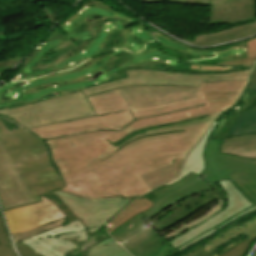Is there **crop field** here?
Returning <instances> with one entry per match:
<instances>
[{"label": "crop field", "mask_w": 256, "mask_h": 256, "mask_svg": "<svg viewBox=\"0 0 256 256\" xmlns=\"http://www.w3.org/2000/svg\"><path fill=\"white\" fill-rule=\"evenodd\" d=\"M240 93L200 92L199 100L133 113L135 122L120 132L95 131L47 140L67 185L61 189L84 197L124 198L150 191L139 175L172 164L173 158H184L211 122L186 127L185 132L140 138L120 150L112 144L136 130L221 112Z\"/></svg>", "instance_id": "1"}, {"label": "crop field", "mask_w": 256, "mask_h": 256, "mask_svg": "<svg viewBox=\"0 0 256 256\" xmlns=\"http://www.w3.org/2000/svg\"><path fill=\"white\" fill-rule=\"evenodd\" d=\"M44 142L0 117V204L3 210L40 201L65 184L50 165Z\"/></svg>", "instance_id": "2"}, {"label": "crop field", "mask_w": 256, "mask_h": 256, "mask_svg": "<svg viewBox=\"0 0 256 256\" xmlns=\"http://www.w3.org/2000/svg\"><path fill=\"white\" fill-rule=\"evenodd\" d=\"M221 142L208 140L204 154L206 168L200 176L191 173L174 185L151 191L156 196L150 199L154 206L120 226L111 236L119 243L126 240L145 229L143 226H148L146 223L156 214L190 195L211 190L208 184L221 180L229 179L255 205L256 160L219 154Z\"/></svg>", "instance_id": "3"}, {"label": "crop field", "mask_w": 256, "mask_h": 256, "mask_svg": "<svg viewBox=\"0 0 256 256\" xmlns=\"http://www.w3.org/2000/svg\"><path fill=\"white\" fill-rule=\"evenodd\" d=\"M220 184L228 196V206L222 212H217L222 208V201L218 200L216 207L206 215L164 236L168 240L182 231L189 229L188 232L172 241V246L177 248L178 251L188 248L192 244L204 239L234 219L256 210V205L252 206L229 180L221 181Z\"/></svg>", "instance_id": "4"}, {"label": "crop field", "mask_w": 256, "mask_h": 256, "mask_svg": "<svg viewBox=\"0 0 256 256\" xmlns=\"http://www.w3.org/2000/svg\"><path fill=\"white\" fill-rule=\"evenodd\" d=\"M0 113L27 129L95 114L81 91L12 109L1 108Z\"/></svg>", "instance_id": "5"}, {"label": "crop field", "mask_w": 256, "mask_h": 256, "mask_svg": "<svg viewBox=\"0 0 256 256\" xmlns=\"http://www.w3.org/2000/svg\"><path fill=\"white\" fill-rule=\"evenodd\" d=\"M245 83L246 81L206 82L200 83V88L178 86H133L88 96L86 98L88 99L119 91L129 109H136L199 97V91L242 90Z\"/></svg>", "instance_id": "6"}, {"label": "crop field", "mask_w": 256, "mask_h": 256, "mask_svg": "<svg viewBox=\"0 0 256 256\" xmlns=\"http://www.w3.org/2000/svg\"><path fill=\"white\" fill-rule=\"evenodd\" d=\"M128 78L100 84L81 90L86 96L133 85H178L199 87V82L218 80H248L250 71H241L228 74L190 75L181 73H168L157 70H129Z\"/></svg>", "instance_id": "7"}, {"label": "crop field", "mask_w": 256, "mask_h": 256, "mask_svg": "<svg viewBox=\"0 0 256 256\" xmlns=\"http://www.w3.org/2000/svg\"><path fill=\"white\" fill-rule=\"evenodd\" d=\"M89 238L86 228L77 220L20 241L15 246L21 256H64V253L72 248L77 249Z\"/></svg>", "instance_id": "8"}, {"label": "crop field", "mask_w": 256, "mask_h": 256, "mask_svg": "<svg viewBox=\"0 0 256 256\" xmlns=\"http://www.w3.org/2000/svg\"><path fill=\"white\" fill-rule=\"evenodd\" d=\"M70 210L76 219H80L90 234L97 231L134 198L119 197L83 198L68 194L62 190L50 192ZM83 215V216H82Z\"/></svg>", "instance_id": "9"}, {"label": "crop field", "mask_w": 256, "mask_h": 256, "mask_svg": "<svg viewBox=\"0 0 256 256\" xmlns=\"http://www.w3.org/2000/svg\"><path fill=\"white\" fill-rule=\"evenodd\" d=\"M200 98V97H199ZM195 98V99H199ZM191 99V100H195ZM190 101V100H186ZM182 101V102H186ZM181 103V102H177ZM173 103V104H177ZM172 105V104H168ZM161 106H153L147 108H141L136 110H128L122 112H116L111 114L99 115V116H90L78 120L66 121L57 124H52L48 126L38 127L34 129H30L31 132L36 134L43 140L52 139L61 136L81 134L95 130H115L119 131L124 126L134 122L131 112L149 110ZM93 128V130H91Z\"/></svg>", "instance_id": "10"}, {"label": "crop field", "mask_w": 256, "mask_h": 256, "mask_svg": "<svg viewBox=\"0 0 256 256\" xmlns=\"http://www.w3.org/2000/svg\"><path fill=\"white\" fill-rule=\"evenodd\" d=\"M40 198L42 202L4 212L11 234L31 230L65 218L52 202L41 196Z\"/></svg>", "instance_id": "11"}, {"label": "crop field", "mask_w": 256, "mask_h": 256, "mask_svg": "<svg viewBox=\"0 0 256 256\" xmlns=\"http://www.w3.org/2000/svg\"><path fill=\"white\" fill-rule=\"evenodd\" d=\"M212 188L214 190L193 195L176 203L167 210L156 215L147 224L150 226L153 225L154 227L152 228L160 233L188 218L199 208L204 207L217 199L225 198V196L216 187ZM150 222H153V224H150Z\"/></svg>", "instance_id": "12"}, {"label": "crop field", "mask_w": 256, "mask_h": 256, "mask_svg": "<svg viewBox=\"0 0 256 256\" xmlns=\"http://www.w3.org/2000/svg\"><path fill=\"white\" fill-rule=\"evenodd\" d=\"M122 245L133 256H166L174 248L162 245L161 237L152 228L126 241Z\"/></svg>", "instance_id": "13"}, {"label": "crop field", "mask_w": 256, "mask_h": 256, "mask_svg": "<svg viewBox=\"0 0 256 256\" xmlns=\"http://www.w3.org/2000/svg\"><path fill=\"white\" fill-rule=\"evenodd\" d=\"M245 233V236L240 237V239H237L235 241H232V244H230L228 247L223 249L222 251L218 252L215 254V256H218L221 254L223 251L231 247L232 245L246 239V238H251L255 239L256 238V219L250 220L248 222L242 223L240 225L234 226L230 228L228 231L222 233L221 235L215 237L211 241L205 243L207 246H204V244L195 247L193 250L185 254L184 256H194L196 255L201 249L206 250L207 252H211L217 248H219L222 244L228 242L229 240Z\"/></svg>", "instance_id": "14"}, {"label": "crop field", "mask_w": 256, "mask_h": 256, "mask_svg": "<svg viewBox=\"0 0 256 256\" xmlns=\"http://www.w3.org/2000/svg\"><path fill=\"white\" fill-rule=\"evenodd\" d=\"M216 124H217V122L213 121L211 127L205 132L204 136H202V138L197 142L196 146L188 154V156L186 157V160L183 163V167H182L179 175L174 180L166 183L165 185H163L161 187H164V186H167L170 184H174L191 172L200 175V173L205 168L203 154L205 151L207 140H208V137H209L212 129L216 126ZM161 187H159V188H161ZM159 188H157V189H159ZM154 190H156V189H154Z\"/></svg>", "instance_id": "15"}, {"label": "crop field", "mask_w": 256, "mask_h": 256, "mask_svg": "<svg viewBox=\"0 0 256 256\" xmlns=\"http://www.w3.org/2000/svg\"><path fill=\"white\" fill-rule=\"evenodd\" d=\"M247 45H248L247 58L221 62V63H218L216 67L192 65L189 71L196 72V73L200 72L204 74L209 71H212L213 73L234 72V71H240L241 68H248L249 70L256 60V38L247 41Z\"/></svg>", "instance_id": "16"}, {"label": "crop field", "mask_w": 256, "mask_h": 256, "mask_svg": "<svg viewBox=\"0 0 256 256\" xmlns=\"http://www.w3.org/2000/svg\"><path fill=\"white\" fill-rule=\"evenodd\" d=\"M254 70H256L255 65L250 80L245 87L246 89H256V73H253ZM250 134H256V107L240 114L233 122L225 138Z\"/></svg>", "instance_id": "17"}, {"label": "crop field", "mask_w": 256, "mask_h": 256, "mask_svg": "<svg viewBox=\"0 0 256 256\" xmlns=\"http://www.w3.org/2000/svg\"><path fill=\"white\" fill-rule=\"evenodd\" d=\"M256 33V23H251L248 25H242L230 30H224L216 33H212L209 35H201L197 36L194 42L187 41L193 44H197L200 46H208L217 43H222L234 39H239L241 37H246Z\"/></svg>", "instance_id": "18"}, {"label": "crop field", "mask_w": 256, "mask_h": 256, "mask_svg": "<svg viewBox=\"0 0 256 256\" xmlns=\"http://www.w3.org/2000/svg\"><path fill=\"white\" fill-rule=\"evenodd\" d=\"M220 153L256 159V135L224 139Z\"/></svg>", "instance_id": "19"}, {"label": "crop field", "mask_w": 256, "mask_h": 256, "mask_svg": "<svg viewBox=\"0 0 256 256\" xmlns=\"http://www.w3.org/2000/svg\"><path fill=\"white\" fill-rule=\"evenodd\" d=\"M89 102L96 115L128 109L119 92L89 99Z\"/></svg>", "instance_id": "20"}, {"label": "crop field", "mask_w": 256, "mask_h": 256, "mask_svg": "<svg viewBox=\"0 0 256 256\" xmlns=\"http://www.w3.org/2000/svg\"><path fill=\"white\" fill-rule=\"evenodd\" d=\"M183 160L184 159H174L172 165L141 175V177L149 189L162 185L177 175Z\"/></svg>", "instance_id": "21"}, {"label": "crop field", "mask_w": 256, "mask_h": 256, "mask_svg": "<svg viewBox=\"0 0 256 256\" xmlns=\"http://www.w3.org/2000/svg\"><path fill=\"white\" fill-rule=\"evenodd\" d=\"M152 206V203L148 199L142 198L135 200L126 209L119 213L113 220L110 221L107 228L109 234H111L117 227L133 218L135 215L148 210Z\"/></svg>", "instance_id": "22"}, {"label": "crop field", "mask_w": 256, "mask_h": 256, "mask_svg": "<svg viewBox=\"0 0 256 256\" xmlns=\"http://www.w3.org/2000/svg\"><path fill=\"white\" fill-rule=\"evenodd\" d=\"M255 99H256V94L250 97L248 92L244 93V97L241 100V102H243L244 104L239 106L240 109H238V110H234L235 107L233 108V110L235 111V114H233L229 117L226 115H223L222 118L220 119L218 125L212 131L209 138L223 140L231 123L235 120V118L240 113H242L243 110L251 107L253 105Z\"/></svg>", "instance_id": "23"}, {"label": "crop field", "mask_w": 256, "mask_h": 256, "mask_svg": "<svg viewBox=\"0 0 256 256\" xmlns=\"http://www.w3.org/2000/svg\"><path fill=\"white\" fill-rule=\"evenodd\" d=\"M87 256H131V255L128 254L122 247H120L110 237H108L107 239L103 240L102 242L92 247Z\"/></svg>", "instance_id": "24"}, {"label": "crop field", "mask_w": 256, "mask_h": 256, "mask_svg": "<svg viewBox=\"0 0 256 256\" xmlns=\"http://www.w3.org/2000/svg\"><path fill=\"white\" fill-rule=\"evenodd\" d=\"M217 114H212V115H208L202 119H199V120H195V121H190V122H186V123H182V124H177V125H173V126H168V127H165V128H159V129H154V130H150L146 133H143V134H139L135 137H133L132 139L124 142L121 146H119V148L123 147L125 144L133 141V140H136L140 137H144V136H149V135H154V134H161V133H171V132H180V131H184L183 130V127H186V126H191V125H196V124H200V123H205V122H210V121H213L217 115Z\"/></svg>", "instance_id": "25"}, {"label": "crop field", "mask_w": 256, "mask_h": 256, "mask_svg": "<svg viewBox=\"0 0 256 256\" xmlns=\"http://www.w3.org/2000/svg\"><path fill=\"white\" fill-rule=\"evenodd\" d=\"M252 241L253 240L248 238V239L232 246L231 248H229L228 250H226L224 253H222L219 256H243ZM196 256H213V255L207 253L204 250H201Z\"/></svg>", "instance_id": "26"}, {"label": "crop field", "mask_w": 256, "mask_h": 256, "mask_svg": "<svg viewBox=\"0 0 256 256\" xmlns=\"http://www.w3.org/2000/svg\"><path fill=\"white\" fill-rule=\"evenodd\" d=\"M0 256H17L10 244L1 216H0Z\"/></svg>", "instance_id": "27"}, {"label": "crop field", "mask_w": 256, "mask_h": 256, "mask_svg": "<svg viewBox=\"0 0 256 256\" xmlns=\"http://www.w3.org/2000/svg\"><path fill=\"white\" fill-rule=\"evenodd\" d=\"M63 220L64 219H62L60 221H57V222H54V223H51V224H47V225L38 227V228L33 229L31 231H28V232L12 235L13 241H14V243H16L19 240H24V239L28 238L29 236H34L35 234L48 231V230L53 229V228H55L57 226H61Z\"/></svg>", "instance_id": "28"}, {"label": "crop field", "mask_w": 256, "mask_h": 256, "mask_svg": "<svg viewBox=\"0 0 256 256\" xmlns=\"http://www.w3.org/2000/svg\"><path fill=\"white\" fill-rule=\"evenodd\" d=\"M49 200H51L58 208L59 210L69 219L70 222L76 220L73 215L68 211V209L59 201V199L49 193L42 195Z\"/></svg>", "instance_id": "29"}, {"label": "crop field", "mask_w": 256, "mask_h": 256, "mask_svg": "<svg viewBox=\"0 0 256 256\" xmlns=\"http://www.w3.org/2000/svg\"><path fill=\"white\" fill-rule=\"evenodd\" d=\"M105 238L107 237L104 234L98 233L94 238H90L88 241H86L81 247L78 248V250L83 251L88 249Z\"/></svg>", "instance_id": "30"}, {"label": "crop field", "mask_w": 256, "mask_h": 256, "mask_svg": "<svg viewBox=\"0 0 256 256\" xmlns=\"http://www.w3.org/2000/svg\"><path fill=\"white\" fill-rule=\"evenodd\" d=\"M170 2L208 5V0H169Z\"/></svg>", "instance_id": "31"}, {"label": "crop field", "mask_w": 256, "mask_h": 256, "mask_svg": "<svg viewBox=\"0 0 256 256\" xmlns=\"http://www.w3.org/2000/svg\"><path fill=\"white\" fill-rule=\"evenodd\" d=\"M145 2H164V0H143Z\"/></svg>", "instance_id": "32"}, {"label": "crop field", "mask_w": 256, "mask_h": 256, "mask_svg": "<svg viewBox=\"0 0 256 256\" xmlns=\"http://www.w3.org/2000/svg\"><path fill=\"white\" fill-rule=\"evenodd\" d=\"M254 256H256V253L254 254Z\"/></svg>", "instance_id": "33"}, {"label": "crop field", "mask_w": 256, "mask_h": 256, "mask_svg": "<svg viewBox=\"0 0 256 256\" xmlns=\"http://www.w3.org/2000/svg\"><path fill=\"white\" fill-rule=\"evenodd\" d=\"M239 107L235 108V109H238Z\"/></svg>", "instance_id": "34"}, {"label": "crop field", "mask_w": 256, "mask_h": 256, "mask_svg": "<svg viewBox=\"0 0 256 256\" xmlns=\"http://www.w3.org/2000/svg\"><path fill=\"white\" fill-rule=\"evenodd\" d=\"M256 64V63H255Z\"/></svg>", "instance_id": "35"}]
</instances>
